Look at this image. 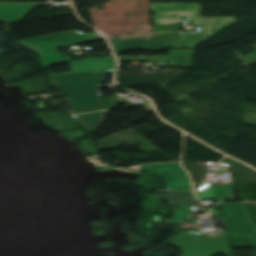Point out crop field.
Segmentation results:
<instances>
[{
  "label": "crop field",
  "mask_w": 256,
  "mask_h": 256,
  "mask_svg": "<svg viewBox=\"0 0 256 256\" xmlns=\"http://www.w3.org/2000/svg\"><path fill=\"white\" fill-rule=\"evenodd\" d=\"M111 73L113 72L49 79L55 88L70 98L73 113H81L95 111L97 107L103 106L99 85Z\"/></svg>",
  "instance_id": "8a807250"
},
{
  "label": "crop field",
  "mask_w": 256,
  "mask_h": 256,
  "mask_svg": "<svg viewBox=\"0 0 256 256\" xmlns=\"http://www.w3.org/2000/svg\"><path fill=\"white\" fill-rule=\"evenodd\" d=\"M143 170L151 171L165 179L167 189L170 191L191 190L189 177L179 166V163L141 166Z\"/></svg>",
  "instance_id": "ac0d7876"
},
{
  "label": "crop field",
  "mask_w": 256,
  "mask_h": 256,
  "mask_svg": "<svg viewBox=\"0 0 256 256\" xmlns=\"http://www.w3.org/2000/svg\"><path fill=\"white\" fill-rule=\"evenodd\" d=\"M153 39H164V42H150L143 38L131 39V40H119L113 44V48L116 54L133 51L137 49H144L153 52H162L167 49L166 39H180L179 32H167L161 33L160 36L153 37Z\"/></svg>",
  "instance_id": "34b2d1b8"
},
{
  "label": "crop field",
  "mask_w": 256,
  "mask_h": 256,
  "mask_svg": "<svg viewBox=\"0 0 256 256\" xmlns=\"http://www.w3.org/2000/svg\"><path fill=\"white\" fill-rule=\"evenodd\" d=\"M37 5L0 3V21L5 23L20 21Z\"/></svg>",
  "instance_id": "412701ff"
},
{
  "label": "crop field",
  "mask_w": 256,
  "mask_h": 256,
  "mask_svg": "<svg viewBox=\"0 0 256 256\" xmlns=\"http://www.w3.org/2000/svg\"><path fill=\"white\" fill-rule=\"evenodd\" d=\"M168 203L171 206L176 205H184V204H192L197 203L198 201H194V196L191 191L185 192H169L167 193Z\"/></svg>",
  "instance_id": "f4fd0767"
},
{
  "label": "crop field",
  "mask_w": 256,
  "mask_h": 256,
  "mask_svg": "<svg viewBox=\"0 0 256 256\" xmlns=\"http://www.w3.org/2000/svg\"><path fill=\"white\" fill-rule=\"evenodd\" d=\"M107 111L104 112H96V113H88V114H80L77 115V119L79 120L83 127L87 129L97 128L98 124L102 122L103 116Z\"/></svg>",
  "instance_id": "dd49c442"
},
{
  "label": "crop field",
  "mask_w": 256,
  "mask_h": 256,
  "mask_svg": "<svg viewBox=\"0 0 256 256\" xmlns=\"http://www.w3.org/2000/svg\"><path fill=\"white\" fill-rule=\"evenodd\" d=\"M253 47H254L255 50H256V44L253 45ZM234 54H235L244 64H247V63H249V62H252V61L256 60V52H253V53L248 54V55L246 56L248 59L244 58V57L241 55V53H240L239 51L234 52Z\"/></svg>",
  "instance_id": "e52e79f7"
},
{
  "label": "crop field",
  "mask_w": 256,
  "mask_h": 256,
  "mask_svg": "<svg viewBox=\"0 0 256 256\" xmlns=\"http://www.w3.org/2000/svg\"><path fill=\"white\" fill-rule=\"evenodd\" d=\"M154 32L166 30H181L180 25L153 26Z\"/></svg>",
  "instance_id": "d8731c3e"
},
{
  "label": "crop field",
  "mask_w": 256,
  "mask_h": 256,
  "mask_svg": "<svg viewBox=\"0 0 256 256\" xmlns=\"http://www.w3.org/2000/svg\"><path fill=\"white\" fill-rule=\"evenodd\" d=\"M228 185H229V188L226 189V190L228 191V193H229V194L232 196V198H233L231 183L228 184Z\"/></svg>",
  "instance_id": "5a996713"
},
{
  "label": "crop field",
  "mask_w": 256,
  "mask_h": 256,
  "mask_svg": "<svg viewBox=\"0 0 256 256\" xmlns=\"http://www.w3.org/2000/svg\"><path fill=\"white\" fill-rule=\"evenodd\" d=\"M252 232H253L254 244L256 248V230H252Z\"/></svg>",
  "instance_id": "3316defc"
},
{
  "label": "crop field",
  "mask_w": 256,
  "mask_h": 256,
  "mask_svg": "<svg viewBox=\"0 0 256 256\" xmlns=\"http://www.w3.org/2000/svg\"><path fill=\"white\" fill-rule=\"evenodd\" d=\"M216 237L225 236L223 232H215Z\"/></svg>",
  "instance_id": "28ad6ade"
},
{
  "label": "crop field",
  "mask_w": 256,
  "mask_h": 256,
  "mask_svg": "<svg viewBox=\"0 0 256 256\" xmlns=\"http://www.w3.org/2000/svg\"><path fill=\"white\" fill-rule=\"evenodd\" d=\"M194 234H197V233H193V232H184L183 235H194Z\"/></svg>",
  "instance_id": "d1516ede"
},
{
  "label": "crop field",
  "mask_w": 256,
  "mask_h": 256,
  "mask_svg": "<svg viewBox=\"0 0 256 256\" xmlns=\"http://www.w3.org/2000/svg\"><path fill=\"white\" fill-rule=\"evenodd\" d=\"M72 46V45H71ZM65 47H67V46H65ZM59 48H61V47H59Z\"/></svg>",
  "instance_id": "22f410ed"
}]
</instances>
